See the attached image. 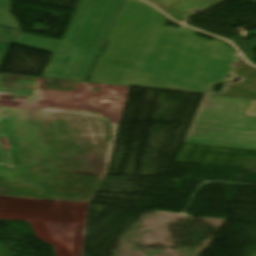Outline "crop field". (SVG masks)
I'll list each match as a JSON object with an SVG mask.
<instances>
[{
    "mask_svg": "<svg viewBox=\"0 0 256 256\" xmlns=\"http://www.w3.org/2000/svg\"><path fill=\"white\" fill-rule=\"evenodd\" d=\"M228 0H184L159 7L172 18L184 23L191 17Z\"/></svg>",
    "mask_w": 256,
    "mask_h": 256,
    "instance_id": "5a996713",
    "label": "crop field"
},
{
    "mask_svg": "<svg viewBox=\"0 0 256 256\" xmlns=\"http://www.w3.org/2000/svg\"><path fill=\"white\" fill-rule=\"evenodd\" d=\"M246 115H248V116H256V100H252L251 101Z\"/></svg>",
    "mask_w": 256,
    "mask_h": 256,
    "instance_id": "cbeb9de0",
    "label": "crop field"
},
{
    "mask_svg": "<svg viewBox=\"0 0 256 256\" xmlns=\"http://www.w3.org/2000/svg\"><path fill=\"white\" fill-rule=\"evenodd\" d=\"M11 44L0 41V65L9 49Z\"/></svg>",
    "mask_w": 256,
    "mask_h": 256,
    "instance_id": "22f410ed",
    "label": "crop field"
},
{
    "mask_svg": "<svg viewBox=\"0 0 256 256\" xmlns=\"http://www.w3.org/2000/svg\"><path fill=\"white\" fill-rule=\"evenodd\" d=\"M250 101L205 95L184 143L256 151V117L244 116Z\"/></svg>",
    "mask_w": 256,
    "mask_h": 256,
    "instance_id": "412701ff",
    "label": "crop field"
},
{
    "mask_svg": "<svg viewBox=\"0 0 256 256\" xmlns=\"http://www.w3.org/2000/svg\"><path fill=\"white\" fill-rule=\"evenodd\" d=\"M43 138L112 134L109 118L101 112L36 105Z\"/></svg>",
    "mask_w": 256,
    "mask_h": 256,
    "instance_id": "dd49c442",
    "label": "crop field"
},
{
    "mask_svg": "<svg viewBox=\"0 0 256 256\" xmlns=\"http://www.w3.org/2000/svg\"><path fill=\"white\" fill-rule=\"evenodd\" d=\"M39 89L0 85V104L16 106L22 128L15 132L26 168L16 169L47 200L84 199L89 202L103 174L52 171L34 114Z\"/></svg>",
    "mask_w": 256,
    "mask_h": 256,
    "instance_id": "ac0d7876",
    "label": "crop field"
},
{
    "mask_svg": "<svg viewBox=\"0 0 256 256\" xmlns=\"http://www.w3.org/2000/svg\"><path fill=\"white\" fill-rule=\"evenodd\" d=\"M233 77L243 79L234 84H230L228 81L221 96L256 99V68L248 65L241 56H239L229 80H232Z\"/></svg>",
    "mask_w": 256,
    "mask_h": 256,
    "instance_id": "e52e79f7",
    "label": "crop field"
},
{
    "mask_svg": "<svg viewBox=\"0 0 256 256\" xmlns=\"http://www.w3.org/2000/svg\"><path fill=\"white\" fill-rule=\"evenodd\" d=\"M45 79L0 74V84L41 88Z\"/></svg>",
    "mask_w": 256,
    "mask_h": 256,
    "instance_id": "3316defc",
    "label": "crop field"
},
{
    "mask_svg": "<svg viewBox=\"0 0 256 256\" xmlns=\"http://www.w3.org/2000/svg\"><path fill=\"white\" fill-rule=\"evenodd\" d=\"M196 35L198 37H201V38H204V39H208V40H220V41H223L221 39H218V38H215L213 36H210V35H207V34H203V33H200V32H197ZM223 42H225V41H223ZM225 43H227V42H225Z\"/></svg>",
    "mask_w": 256,
    "mask_h": 256,
    "instance_id": "5142ce71",
    "label": "crop field"
},
{
    "mask_svg": "<svg viewBox=\"0 0 256 256\" xmlns=\"http://www.w3.org/2000/svg\"><path fill=\"white\" fill-rule=\"evenodd\" d=\"M114 135L43 140L53 170L103 173Z\"/></svg>",
    "mask_w": 256,
    "mask_h": 256,
    "instance_id": "f4fd0767",
    "label": "crop field"
},
{
    "mask_svg": "<svg viewBox=\"0 0 256 256\" xmlns=\"http://www.w3.org/2000/svg\"><path fill=\"white\" fill-rule=\"evenodd\" d=\"M120 2L81 0L62 41L19 32L14 43L53 53L42 77L83 81Z\"/></svg>",
    "mask_w": 256,
    "mask_h": 256,
    "instance_id": "34b2d1b8",
    "label": "crop field"
},
{
    "mask_svg": "<svg viewBox=\"0 0 256 256\" xmlns=\"http://www.w3.org/2000/svg\"><path fill=\"white\" fill-rule=\"evenodd\" d=\"M16 34V31L0 28V39L12 42L14 36Z\"/></svg>",
    "mask_w": 256,
    "mask_h": 256,
    "instance_id": "d1516ede",
    "label": "crop field"
},
{
    "mask_svg": "<svg viewBox=\"0 0 256 256\" xmlns=\"http://www.w3.org/2000/svg\"><path fill=\"white\" fill-rule=\"evenodd\" d=\"M0 197L46 200L16 170L0 169Z\"/></svg>",
    "mask_w": 256,
    "mask_h": 256,
    "instance_id": "d8731c3e",
    "label": "crop field"
},
{
    "mask_svg": "<svg viewBox=\"0 0 256 256\" xmlns=\"http://www.w3.org/2000/svg\"><path fill=\"white\" fill-rule=\"evenodd\" d=\"M159 11L139 0H124L105 40L110 41L91 82L218 95L238 55L196 30L166 27Z\"/></svg>",
    "mask_w": 256,
    "mask_h": 256,
    "instance_id": "8a807250",
    "label": "crop field"
},
{
    "mask_svg": "<svg viewBox=\"0 0 256 256\" xmlns=\"http://www.w3.org/2000/svg\"><path fill=\"white\" fill-rule=\"evenodd\" d=\"M11 0H0V25L20 29L18 21L11 15Z\"/></svg>",
    "mask_w": 256,
    "mask_h": 256,
    "instance_id": "28ad6ade",
    "label": "crop field"
}]
</instances>
